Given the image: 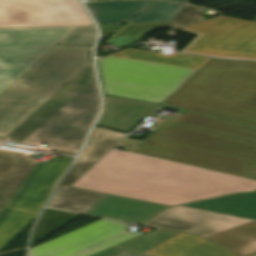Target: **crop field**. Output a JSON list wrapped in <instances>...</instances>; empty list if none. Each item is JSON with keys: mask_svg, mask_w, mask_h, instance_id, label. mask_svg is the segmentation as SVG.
<instances>
[{"mask_svg": "<svg viewBox=\"0 0 256 256\" xmlns=\"http://www.w3.org/2000/svg\"><path fill=\"white\" fill-rule=\"evenodd\" d=\"M71 186L173 206L253 191L256 182L110 149Z\"/></svg>", "mask_w": 256, "mask_h": 256, "instance_id": "crop-field-1", "label": "crop field"}, {"mask_svg": "<svg viewBox=\"0 0 256 256\" xmlns=\"http://www.w3.org/2000/svg\"><path fill=\"white\" fill-rule=\"evenodd\" d=\"M135 153L256 180V126L185 111Z\"/></svg>", "mask_w": 256, "mask_h": 256, "instance_id": "crop-field-2", "label": "crop field"}, {"mask_svg": "<svg viewBox=\"0 0 256 256\" xmlns=\"http://www.w3.org/2000/svg\"><path fill=\"white\" fill-rule=\"evenodd\" d=\"M98 107L93 65L89 63L4 139L33 146L45 142L56 152L77 155Z\"/></svg>", "mask_w": 256, "mask_h": 256, "instance_id": "crop-field-3", "label": "crop field"}, {"mask_svg": "<svg viewBox=\"0 0 256 256\" xmlns=\"http://www.w3.org/2000/svg\"><path fill=\"white\" fill-rule=\"evenodd\" d=\"M164 102L256 125V62L210 59Z\"/></svg>", "mask_w": 256, "mask_h": 256, "instance_id": "crop-field-4", "label": "crop field"}, {"mask_svg": "<svg viewBox=\"0 0 256 256\" xmlns=\"http://www.w3.org/2000/svg\"><path fill=\"white\" fill-rule=\"evenodd\" d=\"M209 59L127 49L97 62L105 94L160 103Z\"/></svg>", "mask_w": 256, "mask_h": 256, "instance_id": "crop-field-5", "label": "crop field"}, {"mask_svg": "<svg viewBox=\"0 0 256 256\" xmlns=\"http://www.w3.org/2000/svg\"><path fill=\"white\" fill-rule=\"evenodd\" d=\"M74 159L40 162L0 149V249L36 217L52 185Z\"/></svg>", "mask_w": 256, "mask_h": 256, "instance_id": "crop-field-6", "label": "crop field"}, {"mask_svg": "<svg viewBox=\"0 0 256 256\" xmlns=\"http://www.w3.org/2000/svg\"><path fill=\"white\" fill-rule=\"evenodd\" d=\"M93 46L56 45L0 94V136L5 137L91 62Z\"/></svg>", "mask_w": 256, "mask_h": 256, "instance_id": "crop-field-7", "label": "crop field"}, {"mask_svg": "<svg viewBox=\"0 0 256 256\" xmlns=\"http://www.w3.org/2000/svg\"><path fill=\"white\" fill-rule=\"evenodd\" d=\"M124 136L125 134L94 127L82 155L59 184L55 196L47 206L137 224L169 207L69 187Z\"/></svg>", "mask_w": 256, "mask_h": 256, "instance_id": "crop-field-8", "label": "crop field"}, {"mask_svg": "<svg viewBox=\"0 0 256 256\" xmlns=\"http://www.w3.org/2000/svg\"><path fill=\"white\" fill-rule=\"evenodd\" d=\"M145 224L201 235L238 256L256 252V221L177 206Z\"/></svg>", "mask_w": 256, "mask_h": 256, "instance_id": "crop-field-9", "label": "crop field"}, {"mask_svg": "<svg viewBox=\"0 0 256 256\" xmlns=\"http://www.w3.org/2000/svg\"><path fill=\"white\" fill-rule=\"evenodd\" d=\"M75 27L0 28V93Z\"/></svg>", "mask_w": 256, "mask_h": 256, "instance_id": "crop-field-10", "label": "crop field"}, {"mask_svg": "<svg viewBox=\"0 0 256 256\" xmlns=\"http://www.w3.org/2000/svg\"><path fill=\"white\" fill-rule=\"evenodd\" d=\"M180 30L199 34L182 52L256 61V22L219 16Z\"/></svg>", "mask_w": 256, "mask_h": 256, "instance_id": "crop-field-11", "label": "crop field"}, {"mask_svg": "<svg viewBox=\"0 0 256 256\" xmlns=\"http://www.w3.org/2000/svg\"><path fill=\"white\" fill-rule=\"evenodd\" d=\"M92 24L77 0H0V27Z\"/></svg>", "mask_w": 256, "mask_h": 256, "instance_id": "crop-field-12", "label": "crop field"}, {"mask_svg": "<svg viewBox=\"0 0 256 256\" xmlns=\"http://www.w3.org/2000/svg\"><path fill=\"white\" fill-rule=\"evenodd\" d=\"M127 225L101 219L31 248L29 256H90L138 236Z\"/></svg>", "mask_w": 256, "mask_h": 256, "instance_id": "crop-field-13", "label": "crop field"}, {"mask_svg": "<svg viewBox=\"0 0 256 256\" xmlns=\"http://www.w3.org/2000/svg\"><path fill=\"white\" fill-rule=\"evenodd\" d=\"M113 248L153 256H236L202 237L161 229Z\"/></svg>", "mask_w": 256, "mask_h": 256, "instance_id": "crop-field-14", "label": "crop field"}, {"mask_svg": "<svg viewBox=\"0 0 256 256\" xmlns=\"http://www.w3.org/2000/svg\"><path fill=\"white\" fill-rule=\"evenodd\" d=\"M156 106L157 104L104 96L103 114L96 125L129 132Z\"/></svg>", "mask_w": 256, "mask_h": 256, "instance_id": "crop-field-15", "label": "crop field"}, {"mask_svg": "<svg viewBox=\"0 0 256 256\" xmlns=\"http://www.w3.org/2000/svg\"><path fill=\"white\" fill-rule=\"evenodd\" d=\"M256 220V191L181 205Z\"/></svg>", "mask_w": 256, "mask_h": 256, "instance_id": "crop-field-16", "label": "crop field"}, {"mask_svg": "<svg viewBox=\"0 0 256 256\" xmlns=\"http://www.w3.org/2000/svg\"><path fill=\"white\" fill-rule=\"evenodd\" d=\"M152 0L86 3L98 24H124L141 13Z\"/></svg>", "mask_w": 256, "mask_h": 256, "instance_id": "crop-field-17", "label": "crop field"}, {"mask_svg": "<svg viewBox=\"0 0 256 256\" xmlns=\"http://www.w3.org/2000/svg\"><path fill=\"white\" fill-rule=\"evenodd\" d=\"M71 216V213L45 208L34 230L30 246L67 224Z\"/></svg>", "mask_w": 256, "mask_h": 256, "instance_id": "crop-field-18", "label": "crop field"}, {"mask_svg": "<svg viewBox=\"0 0 256 256\" xmlns=\"http://www.w3.org/2000/svg\"><path fill=\"white\" fill-rule=\"evenodd\" d=\"M183 4L156 0L144 13L128 23H169Z\"/></svg>", "mask_w": 256, "mask_h": 256, "instance_id": "crop-field-19", "label": "crop field"}, {"mask_svg": "<svg viewBox=\"0 0 256 256\" xmlns=\"http://www.w3.org/2000/svg\"><path fill=\"white\" fill-rule=\"evenodd\" d=\"M170 24H125L116 34L112 35L107 40L123 48L130 44L136 43L142 37L154 28L170 27Z\"/></svg>", "mask_w": 256, "mask_h": 256, "instance_id": "crop-field-20", "label": "crop field"}, {"mask_svg": "<svg viewBox=\"0 0 256 256\" xmlns=\"http://www.w3.org/2000/svg\"><path fill=\"white\" fill-rule=\"evenodd\" d=\"M96 32L93 25L77 26L59 43L93 45Z\"/></svg>", "mask_w": 256, "mask_h": 256, "instance_id": "crop-field-21", "label": "crop field"}, {"mask_svg": "<svg viewBox=\"0 0 256 256\" xmlns=\"http://www.w3.org/2000/svg\"><path fill=\"white\" fill-rule=\"evenodd\" d=\"M201 11L202 9L200 8L184 5L183 8L170 22L172 25L171 28L179 29L203 21V18L200 16Z\"/></svg>", "mask_w": 256, "mask_h": 256, "instance_id": "crop-field-22", "label": "crop field"}, {"mask_svg": "<svg viewBox=\"0 0 256 256\" xmlns=\"http://www.w3.org/2000/svg\"><path fill=\"white\" fill-rule=\"evenodd\" d=\"M95 256H147V255L127 252V251H122L117 249H109Z\"/></svg>", "mask_w": 256, "mask_h": 256, "instance_id": "crop-field-23", "label": "crop field"}, {"mask_svg": "<svg viewBox=\"0 0 256 256\" xmlns=\"http://www.w3.org/2000/svg\"><path fill=\"white\" fill-rule=\"evenodd\" d=\"M101 28L102 39L107 37L109 34L114 32L117 28L121 27L122 25H99Z\"/></svg>", "mask_w": 256, "mask_h": 256, "instance_id": "crop-field-24", "label": "crop field"}, {"mask_svg": "<svg viewBox=\"0 0 256 256\" xmlns=\"http://www.w3.org/2000/svg\"><path fill=\"white\" fill-rule=\"evenodd\" d=\"M172 1L186 2V1H188V0H172Z\"/></svg>", "mask_w": 256, "mask_h": 256, "instance_id": "crop-field-25", "label": "crop field"}, {"mask_svg": "<svg viewBox=\"0 0 256 256\" xmlns=\"http://www.w3.org/2000/svg\"><path fill=\"white\" fill-rule=\"evenodd\" d=\"M251 256H256V254H254V255H251Z\"/></svg>", "mask_w": 256, "mask_h": 256, "instance_id": "crop-field-26", "label": "crop field"}]
</instances>
